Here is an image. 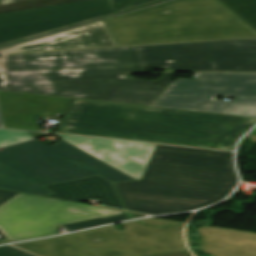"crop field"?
I'll return each instance as SVG.
<instances>
[{
  "label": "crop field",
  "mask_w": 256,
  "mask_h": 256,
  "mask_svg": "<svg viewBox=\"0 0 256 256\" xmlns=\"http://www.w3.org/2000/svg\"><path fill=\"white\" fill-rule=\"evenodd\" d=\"M116 46L104 21L0 49V53Z\"/></svg>",
  "instance_id": "obj_11"
},
{
  "label": "crop field",
  "mask_w": 256,
  "mask_h": 256,
  "mask_svg": "<svg viewBox=\"0 0 256 256\" xmlns=\"http://www.w3.org/2000/svg\"><path fill=\"white\" fill-rule=\"evenodd\" d=\"M159 0H0V44Z\"/></svg>",
  "instance_id": "obj_7"
},
{
  "label": "crop field",
  "mask_w": 256,
  "mask_h": 256,
  "mask_svg": "<svg viewBox=\"0 0 256 256\" xmlns=\"http://www.w3.org/2000/svg\"><path fill=\"white\" fill-rule=\"evenodd\" d=\"M81 233L16 244L39 256H156L187 251L182 240L184 225L147 227L137 221Z\"/></svg>",
  "instance_id": "obj_6"
},
{
  "label": "crop field",
  "mask_w": 256,
  "mask_h": 256,
  "mask_svg": "<svg viewBox=\"0 0 256 256\" xmlns=\"http://www.w3.org/2000/svg\"><path fill=\"white\" fill-rule=\"evenodd\" d=\"M236 183L232 174L148 166L141 181L114 186L127 210L157 215L214 203Z\"/></svg>",
  "instance_id": "obj_5"
},
{
  "label": "crop field",
  "mask_w": 256,
  "mask_h": 256,
  "mask_svg": "<svg viewBox=\"0 0 256 256\" xmlns=\"http://www.w3.org/2000/svg\"><path fill=\"white\" fill-rule=\"evenodd\" d=\"M164 256H191L189 252L185 253H178V254H171V255H164Z\"/></svg>",
  "instance_id": "obj_19"
},
{
  "label": "crop field",
  "mask_w": 256,
  "mask_h": 256,
  "mask_svg": "<svg viewBox=\"0 0 256 256\" xmlns=\"http://www.w3.org/2000/svg\"><path fill=\"white\" fill-rule=\"evenodd\" d=\"M147 67L256 71V39L12 54L0 57V90L152 106L172 83L125 78Z\"/></svg>",
  "instance_id": "obj_1"
},
{
  "label": "crop field",
  "mask_w": 256,
  "mask_h": 256,
  "mask_svg": "<svg viewBox=\"0 0 256 256\" xmlns=\"http://www.w3.org/2000/svg\"><path fill=\"white\" fill-rule=\"evenodd\" d=\"M148 165L233 173V153L157 145Z\"/></svg>",
  "instance_id": "obj_12"
},
{
  "label": "crop field",
  "mask_w": 256,
  "mask_h": 256,
  "mask_svg": "<svg viewBox=\"0 0 256 256\" xmlns=\"http://www.w3.org/2000/svg\"><path fill=\"white\" fill-rule=\"evenodd\" d=\"M256 30V0H219Z\"/></svg>",
  "instance_id": "obj_15"
},
{
  "label": "crop field",
  "mask_w": 256,
  "mask_h": 256,
  "mask_svg": "<svg viewBox=\"0 0 256 256\" xmlns=\"http://www.w3.org/2000/svg\"><path fill=\"white\" fill-rule=\"evenodd\" d=\"M105 23L117 46L256 37L218 0H178Z\"/></svg>",
  "instance_id": "obj_3"
},
{
  "label": "crop field",
  "mask_w": 256,
  "mask_h": 256,
  "mask_svg": "<svg viewBox=\"0 0 256 256\" xmlns=\"http://www.w3.org/2000/svg\"><path fill=\"white\" fill-rule=\"evenodd\" d=\"M194 254L196 255V253L194 252ZM197 256V255H196Z\"/></svg>",
  "instance_id": "obj_23"
},
{
  "label": "crop field",
  "mask_w": 256,
  "mask_h": 256,
  "mask_svg": "<svg viewBox=\"0 0 256 256\" xmlns=\"http://www.w3.org/2000/svg\"><path fill=\"white\" fill-rule=\"evenodd\" d=\"M111 167L141 180L156 146L132 142L57 135Z\"/></svg>",
  "instance_id": "obj_10"
},
{
  "label": "crop field",
  "mask_w": 256,
  "mask_h": 256,
  "mask_svg": "<svg viewBox=\"0 0 256 256\" xmlns=\"http://www.w3.org/2000/svg\"><path fill=\"white\" fill-rule=\"evenodd\" d=\"M42 135L0 129V189L45 196L52 193L41 185L88 176L134 180L62 140L47 146L34 139Z\"/></svg>",
  "instance_id": "obj_4"
},
{
  "label": "crop field",
  "mask_w": 256,
  "mask_h": 256,
  "mask_svg": "<svg viewBox=\"0 0 256 256\" xmlns=\"http://www.w3.org/2000/svg\"><path fill=\"white\" fill-rule=\"evenodd\" d=\"M189 226H187L188 228ZM186 228L185 230V234H186V239H187V243L189 244V235H188V229Z\"/></svg>",
  "instance_id": "obj_21"
},
{
  "label": "crop field",
  "mask_w": 256,
  "mask_h": 256,
  "mask_svg": "<svg viewBox=\"0 0 256 256\" xmlns=\"http://www.w3.org/2000/svg\"><path fill=\"white\" fill-rule=\"evenodd\" d=\"M215 95L256 96V73H197V79H175L153 106L256 117V98L227 102L214 100Z\"/></svg>",
  "instance_id": "obj_9"
},
{
  "label": "crop field",
  "mask_w": 256,
  "mask_h": 256,
  "mask_svg": "<svg viewBox=\"0 0 256 256\" xmlns=\"http://www.w3.org/2000/svg\"><path fill=\"white\" fill-rule=\"evenodd\" d=\"M42 187L55 193L47 197L74 202L97 198L101 201L102 205L125 210L113 184L100 176L45 185Z\"/></svg>",
  "instance_id": "obj_13"
},
{
  "label": "crop field",
  "mask_w": 256,
  "mask_h": 256,
  "mask_svg": "<svg viewBox=\"0 0 256 256\" xmlns=\"http://www.w3.org/2000/svg\"><path fill=\"white\" fill-rule=\"evenodd\" d=\"M256 118L70 99L56 132L233 150Z\"/></svg>",
  "instance_id": "obj_2"
},
{
  "label": "crop field",
  "mask_w": 256,
  "mask_h": 256,
  "mask_svg": "<svg viewBox=\"0 0 256 256\" xmlns=\"http://www.w3.org/2000/svg\"><path fill=\"white\" fill-rule=\"evenodd\" d=\"M0 127H4L2 116H1V112H0Z\"/></svg>",
  "instance_id": "obj_22"
},
{
  "label": "crop field",
  "mask_w": 256,
  "mask_h": 256,
  "mask_svg": "<svg viewBox=\"0 0 256 256\" xmlns=\"http://www.w3.org/2000/svg\"><path fill=\"white\" fill-rule=\"evenodd\" d=\"M125 212L0 190V233L9 241L56 234L57 226Z\"/></svg>",
  "instance_id": "obj_8"
},
{
  "label": "crop field",
  "mask_w": 256,
  "mask_h": 256,
  "mask_svg": "<svg viewBox=\"0 0 256 256\" xmlns=\"http://www.w3.org/2000/svg\"><path fill=\"white\" fill-rule=\"evenodd\" d=\"M202 252L211 256H256V234L214 227L197 229Z\"/></svg>",
  "instance_id": "obj_14"
},
{
  "label": "crop field",
  "mask_w": 256,
  "mask_h": 256,
  "mask_svg": "<svg viewBox=\"0 0 256 256\" xmlns=\"http://www.w3.org/2000/svg\"><path fill=\"white\" fill-rule=\"evenodd\" d=\"M147 225H168V224H182V223H176V222H170V221H164V220H158V219H152V218H147L143 220H139Z\"/></svg>",
  "instance_id": "obj_18"
},
{
  "label": "crop field",
  "mask_w": 256,
  "mask_h": 256,
  "mask_svg": "<svg viewBox=\"0 0 256 256\" xmlns=\"http://www.w3.org/2000/svg\"><path fill=\"white\" fill-rule=\"evenodd\" d=\"M129 215L132 217V218H138V217H142V216H145V215H142V214H136V213H130L128 212Z\"/></svg>",
  "instance_id": "obj_20"
},
{
  "label": "crop field",
  "mask_w": 256,
  "mask_h": 256,
  "mask_svg": "<svg viewBox=\"0 0 256 256\" xmlns=\"http://www.w3.org/2000/svg\"><path fill=\"white\" fill-rule=\"evenodd\" d=\"M129 218L130 217L127 214H124V215L110 217V218H106V219H95V220H89V221H83V222H79V223L69 224V225H65L64 228L66 229V231H71V230H77V229H82V228L104 225V224L117 222V221L129 219Z\"/></svg>",
  "instance_id": "obj_16"
},
{
  "label": "crop field",
  "mask_w": 256,
  "mask_h": 256,
  "mask_svg": "<svg viewBox=\"0 0 256 256\" xmlns=\"http://www.w3.org/2000/svg\"><path fill=\"white\" fill-rule=\"evenodd\" d=\"M0 256H33L10 246L0 247Z\"/></svg>",
  "instance_id": "obj_17"
}]
</instances>
